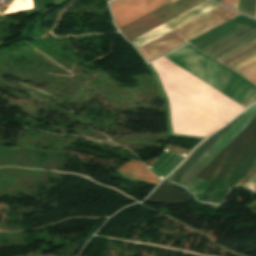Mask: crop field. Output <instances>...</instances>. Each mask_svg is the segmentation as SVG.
<instances>
[{"instance_id":"8a807250","label":"crop field","mask_w":256,"mask_h":256,"mask_svg":"<svg viewBox=\"0 0 256 256\" xmlns=\"http://www.w3.org/2000/svg\"><path fill=\"white\" fill-rule=\"evenodd\" d=\"M152 65L170 100L173 132L206 137L245 109L164 57Z\"/></svg>"},{"instance_id":"ac0d7876","label":"crop field","mask_w":256,"mask_h":256,"mask_svg":"<svg viewBox=\"0 0 256 256\" xmlns=\"http://www.w3.org/2000/svg\"><path fill=\"white\" fill-rule=\"evenodd\" d=\"M219 7L138 49L147 62L238 16Z\"/></svg>"},{"instance_id":"34b2d1b8","label":"crop field","mask_w":256,"mask_h":256,"mask_svg":"<svg viewBox=\"0 0 256 256\" xmlns=\"http://www.w3.org/2000/svg\"><path fill=\"white\" fill-rule=\"evenodd\" d=\"M194 3H201L204 0H188ZM185 0H177L176 2L184 4L186 6H189L191 8L197 6V4L188 2ZM172 3L158 11H156L155 13L139 20L138 22L120 30L121 33L124 35V37H128L129 39H134L150 30H152L153 28L171 20L172 18L190 10L191 8L183 6L181 4L178 3ZM127 38V40H129ZM129 40V41H131Z\"/></svg>"},{"instance_id":"412701ff","label":"crop field","mask_w":256,"mask_h":256,"mask_svg":"<svg viewBox=\"0 0 256 256\" xmlns=\"http://www.w3.org/2000/svg\"><path fill=\"white\" fill-rule=\"evenodd\" d=\"M173 0H113L112 15L119 28L159 9Z\"/></svg>"},{"instance_id":"f4fd0767","label":"crop field","mask_w":256,"mask_h":256,"mask_svg":"<svg viewBox=\"0 0 256 256\" xmlns=\"http://www.w3.org/2000/svg\"><path fill=\"white\" fill-rule=\"evenodd\" d=\"M184 156V154L165 150L163 154L148 168L163 179L164 176L184 158Z\"/></svg>"},{"instance_id":"dd49c442","label":"crop field","mask_w":256,"mask_h":256,"mask_svg":"<svg viewBox=\"0 0 256 256\" xmlns=\"http://www.w3.org/2000/svg\"><path fill=\"white\" fill-rule=\"evenodd\" d=\"M118 171L132 179L149 181L155 184H158L160 181L151 172H149L140 161L131 160V162L126 164Z\"/></svg>"},{"instance_id":"e52e79f7","label":"crop field","mask_w":256,"mask_h":256,"mask_svg":"<svg viewBox=\"0 0 256 256\" xmlns=\"http://www.w3.org/2000/svg\"><path fill=\"white\" fill-rule=\"evenodd\" d=\"M225 65L245 77L256 72V48Z\"/></svg>"},{"instance_id":"d8731c3e","label":"crop field","mask_w":256,"mask_h":256,"mask_svg":"<svg viewBox=\"0 0 256 256\" xmlns=\"http://www.w3.org/2000/svg\"><path fill=\"white\" fill-rule=\"evenodd\" d=\"M33 8L32 0H13V2L7 8L6 13L21 11Z\"/></svg>"},{"instance_id":"5a996713","label":"crop field","mask_w":256,"mask_h":256,"mask_svg":"<svg viewBox=\"0 0 256 256\" xmlns=\"http://www.w3.org/2000/svg\"><path fill=\"white\" fill-rule=\"evenodd\" d=\"M254 47H256V40L238 48L237 50H235V51H233V52H231V53H229V54H227V55H225V56H223V57H221L217 60L224 63V62H226V61H228V60H230V59H232V58H234V57H236V56H238V55H240V54H242V53H244V52H246V51H248V50H250Z\"/></svg>"},{"instance_id":"3316defc","label":"crop field","mask_w":256,"mask_h":256,"mask_svg":"<svg viewBox=\"0 0 256 256\" xmlns=\"http://www.w3.org/2000/svg\"><path fill=\"white\" fill-rule=\"evenodd\" d=\"M255 172L256 166L235 187H241Z\"/></svg>"},{"instance_id":"28ad6ade","label":"crop field","mask_w":256,"mask_h":256,"mask_svg":"<svg viewBox=\"0 0 256 256\" xmlns=\"http://www.w3.org/2000/svg\"><path fill=\"white\" fill-rule=\"evenodd\" d=\"M246 78L249 79L250 81L256 83V73H254Z\"/></svg>"},{"instance_id":"d1516ede","label":"crop field","mask_w":256,"mask_h":256,"mask_svg":"<svg viewBox=\"0 0 256 256\" xmlns=\"http://www.w3.org/2000/svg\"><path fill=\"white\" fill-rule=\"evenodd\" d=\"M232 1L233 0H223V4H225V5H228V6H230V7H232Z\"/></svg>"},{"instance_id":"22f410ed","label":"crop field","mask_w":256,"mask_h":256,"mask_svg":"<svg viewBox=\"0 0 256 256\" xmlns=\"http://www.w3.org/2000/svg\"><path fill=\"white\" fill-rule=\"evenodd\" d=\"M255 175H256V173H255L252 177H254ZM252 177H251V178H252ZM251 178H250V179H251ZM250 179H249V180H250ZM249 180H248V181H249ZM255 180H256V177H255L252 181H255ZM248 181H247V182H248ZM247 182H246V183H247ZM246 183H245V184H246Z\"/></svg>"},{"instance_id":"cbeb9de0","label":"crop field","mask_w":256,"mask_h":256,"mask_svg":"<svg viewBox=\"0 0 256 256\" xmlns=\"http://www.w3.org/2000/svg\"><path fill=\"white\" fill-rule=\"evenodd\" d=\"M108 1H110V0H108Z\"/></svg>"}]
</instances>
